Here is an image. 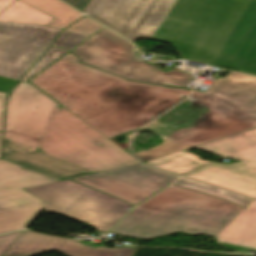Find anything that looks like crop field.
<instances>
[{"mask_svg":"<svg viewBox=\"0 0 256 256\" xmlns=\"http://www.w3.org/2000/svg\"><path fill=\"white\" fill-rule=\"evenodd\" d=\"M54 18L17 0L2 13L0 22L46 25Z\"/></svg>","mask_w":256,"mask_h":256,"instance_id":"crop-field-17","label":"crop field"},{"mask_svg":"<svg viewBox=\"0 0 256 256\" xmlns=\"http://www.w3.org/2000/svg\"><path fill=\"white\" fill-rule=\"evenodd\" d=\"M78 60L69 53L31 83L109 139L143 126L191 92L126 81Z\"/></svg>","mask_w":256,"mask_h":256,"instance_id":"crop-field-2","label":"crop field"},{"mask_svg":"<svg viewBox=\"0 0 256 256\" xmlns=\"http://www.w3.org/2000/svg\"><path fill=\"white\" fill-rule=\"evenodd\" d=\"M39 148L45 154L97 172L139 164L65 107L57 109Z\"/></svg>","mask_w":256,"mask_h":256,"instance_id":"crop-field-7","label":"crop field"},{"mask_svg":"<svg viewBox=\"0 0 256 256\" xmlns=\"http://www.w3.org/2000/svg\"><path fill=\"white\" fill-rule=\"evenodd\" d=\"M53 17L55 19L51 21L48 26L64 29L79 18L82 14L75 11L71 7L62 3L59 0H21Z\"/></svg>","mask_w":256,"mask_h":256,"instance_id":"crop-field-16","label":"crop field"},{"mask_svg":"<svg viewBox=\"0 0 256 256\" xmlns=\"http://www.w3.org/2000/svg\"><path fill=\"white\" fill-rule=\"evenodd\" d=\"M194 148L220 157L236 159L241 163H211L185 177L256 198V128ZM191 149L193 148L145 164L182 175L209 163L190 153Z\"/></svg>","mask_w":256,"mask_h":256,"instance_id":"crop-field-6","label":"crop field"},{"mask_svg":"<svg viewBox=\"0 0 256 256\" xmlns=\"http://www.w3.org/2000/svg\"><path fill=\"white\" fill-rule=\"evenodd\" d=\"M86 38L87 36L64 31L52 46L70 50Z\"/></svg>","mask_w":256,"mask_h":256,"instance_id":"crop-field-20","label":"crop field"},{"mask_svg":"<svg viewBox=\"0 0 256 256\" xmlns=\"http://www.w3.org/2000/svg\"><path fill=\"white\" fill-rule=\"evenodd\" d=\"M62 30L0 23V76L19 80Z\"/></svg>","mask_w":256,"mask_h":256,"instance_id":"crop-field-11","label":"crop field"},{"mask_svg":"<svg viewBox=\"0 0 256 256\" xmlns=\"http://www.w3.org/2000/svg\"><path fill=\"white\" fill-rule=\"evenodd\" d=\"M230 250L256 251V199L237 215L216 237Z\"/></svg>","mask_w":256,"mask_h":256,"instance_id":"crop-field-15","label":"crop field"},{"mask_svg":"<svg viewBox=\"0 0 256 256\" xmlns=\"http://www.w3.org/2000/svg\"><path fill=\"white\" fill-rule=\"evenodd\" d=\"M242 210L223 199L172 185L135 209L112 232L142 239L178 229L216 236Z\"/></svg>","mask_w":256,"mask_h":256,"instance_id":"crop-field-4","label":"crop field"},{"mask_svg":"<svg viewBox=\"0 0 256 256\" xmlns=\"http://www.w3.org/2000/svg\"><path fill=\"white\" fill-rule=\"evenodd\" d=\"M60 181L37 171L0 160V234L24 229L47 202L24 188Z\"/></svg>","mask_w":256,"mask_h":256,"instance_id":"crop-field-10","label":"crop field"},{"mask_svg":"<svg viewBox=\"0 0 256 256\" xmlns=\"http://www.w3.org/2000/svg\"><path fill=\"white\" fill-rule=\"evenodd\" d=\"M9 94L0 92V114L4 113L5 102Z\"/></svg>","mask_w":256,"mask_h":256,"instance_id":"crop-field-25","label":"crop field"},{"mask_svg":"<svg viewBox=\"0 0 256 256\" xmlns=\"http://www.w3.org/2000/svg\"><path fill=\"white\" fill-rule=\"evenodd\" d=\"M101 27H102L101 24L86 17L83 20H81L80 22H78L75 25H73L72 27H70L69 29H67V31L90 36L93 33H95L97 30H99Z\"/></svg>","mask_w":256,"mask_h":256,"instance_id":"crop-field-21","label":"crop field"},{"mask_svg":"<svg viewBox=\"0 0 256 256\" xmlns=\"http://www.w3.org/2000/svg\"><path fill=\"white\" fill-rule=\"evenodd\" d=\"M249 0H91L84 11L120 35L170 43L211 65Z\"/></svg>","mask_w":256,"mask_h":256,"instance_id":"crop-field-1","label":"crop field"},{"mask_svg":"<svg viewBox=\"0 0 256 256\" xmlns=\"http://www.w3.org/2000/svg\"><path fill=\"white\" fill-rule=\"evenodd\" d=\"M66 52L67 51L50 47V49L45 53V55L37 62V64L27 73V75L22 80H29L31 77L36 75L38 72H40L45 67L50 65L52 62L57 60L59 57L64 55Z\"/></svg>","mask_w":256,"mask_h":256,"instance_id":"crop-field-19","label":"crop field"},{"mask_svg":"<svg viewBox=\"0 0 256 256\" xmlns=\"http://www.w3.org/2000/svg\"><path fill=\"white\" fill-rule=\"evenodd\" d=\"M21 233L22 232H18V233L0 236V256L4 255V253L11 247V245L21 235Z\"/></svg>","mask_w":256,"mask_h":256,"instance_id":"crop-field-22","label":"crop field"},{"mask_svg":"<svg viewBox=\"0 0 256 256\" xmlns=\"http://www.w3.org/2000/svg\"><path fill=\"white\" fill-rule=\"evenodd\" d=\"M212 65L256 75V1H251Z\"/></svg>","mask_w":256,"mask_h":256,"instance_id":"crop-field-13","label":"crop field"},{"mask_svg":"<svg viewBox=\"0 0 256 256\" xmlns=\"http://www.w3.org/2000/svg\"><path fill=\"white\" fill-rule=\"evenodd\" d=\"M49 98L28 82L15 87L7 104L3 158L65 179L96 173L37 151L58 106Z\"/></svg>","mask_w":256,"mask_h":256,"instance_id":"crop-field-5","label":"crop field"},{"mask_svg":"<svg viewBox=\"0 0 256 256\" xmlns=\"http://www.w3.org/2000/svg\"><path fill=\"white\" fill-rule=\"evenodd\" d=\"M176 179H178L176 175L137 165L97 173L73 181L137 205Z\"/></svg>","mask_w":256,"mask_h":256,"instance_id":"crop-field-12","label":"crop field"},{"mask_svg":"<svg viewBox=\"0 0 256 256\" xmlns=\"http://www.w3.org/2000/svg\"><path fill=\"white\" fill-rule=\"evenodd\" d=\"M27 191L48 202L45 210L79 219L104 232L111 230L128 213L125 209L132 206L70 180Z\"/></svg>","mask_w":256,"mask_h":256,"instance_id":"crop-field-8","label":"crop field"},{"mask_svg":"<svg viewBox=\"0 0 256 256\" xmlns=\"http://www.w3.org/2000/svg\"><path fill=\"white\" fill-rule=\"evenodd\" d=\"M133 48L134 46L127 40L104 29L73 52L85 63L128 79L181 87H185L191 79V75L173 70L165 73L148 63L136 61L132 53Z\"/></svg>","mask_w":256,"mask_h":256,"instance_id":"crop-field-9","label":"crop field"},{"mask_svg":"<svg viewBox=\"0 0 256 256\" xmlns=\"http://www.w3.org/2000/svg\"><path fill=\"white\" fill-rule=\"evenodd\" d=\"M64 1L81 11V9L84 7V5L88 0H64Z\"/></svg>","mask_w":256,"mask_h":256,"instance_id":"crop-field-24","label":"crop field"},{"mask_svg":"<svg viewBox=\"0 0 256 256\" xmlns=\"http://www.w3.org/2000/svg\"><path fill=\"white\" fill-rule=\"evenodd\" d=\"M17 83V80L0 77V90L10 92L11 88Z\"/></svg>","mask_w":256,"mask_h":256,"instance_id":"crop-field-23","label":"crop field"},{"mask_svg":"<svg viewBox=\"0 0 256 256\" xmlns=\"http://www.w3.org/2000/svg\"><path fill=\"white\" fill-rule=\"evenodd\" d=\"M1 137H2V132H0V147H1Z\"/></svg>","mask_w":256,"mask_h":256,"instance_id":"crop-field-28","label":"crop field"},{"mask_svg":"<svg viewBox=\"0 0 256 256\" xmlns=\"http://www.w3.org/2000/svg\"><path fill=\"white\" fill-rule=\"evenodd\" d=\"M59 250L68 256H132L131 248H92L70 239L24 231L4 256H33L44 251Z\"/></svg>","mask_w":256,"mask_h":256,"instance_id":"crop-field-14","label":"crop field"},{"mask_svg":"<svg viewBox=\"0 0 256 256\" xmlns=\"http://www.w3.org/2000/svg\"><path fill=\"white\" fill-rule=\"evenodd\" d=\"M256 127V77L228 71L206 93L188 100L143 129H152L166 143L135 153L148 161Z\"/></svg>","mask_w":256,"mask_h":256,"instance_id":"crop-field-3","label":"crop field"},{"mask_svg":"<svg viewBox=\"0 0 256 256\" xmlns=\"http://www.w3.org/2000/svg\"><path fill=\"white\" fill-rule=\"evenodd\" d=\"M4 114L0 115V131L3 130Z\"/></svg>","mask_w":256,"mask_h":256,"instance_id":"crop-field-27","label":"crop field"},{"mask_svg":"<svg viewBox=\"0 0 256 256\" xmlns=\"http://www.w3.org/2000/svg\"><path fill=\"white\" fill-rule=\"evenodd\" d=\"M174 185L181 186L200 193L220 197L243 208H245L249 203H251L254 200V198L238 194L235 192H231L228 190H224L221 188H217L214 186H210L185 177L175 182Z\"/></svg>","mask_w":256,"mask_h":256,"instance_id":"crop-field-18","label":"crop field"},{"mask_svg":"<svg viewBox=\"0 0 256 256\" xmlns=\"http://www.w3.org/2000/svg\"><path fill=\"white\" fill-rule=\"evenodd\" d=\"M14 1H16V0H0V12H2L5 8H7Z\"/></svg>","mask_w":256,"mask_h":256,"instance_id":"crop-field-26","label":"crop field"}]
</instances>
